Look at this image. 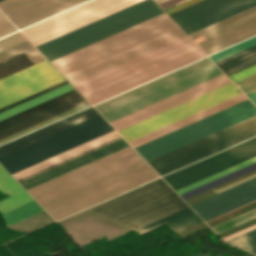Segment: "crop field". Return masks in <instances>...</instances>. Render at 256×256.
Here are the masks:
<instances>
[{"label":"crop field","mask_w":256,"mask_h":256,"mask_svg":"<svg viewBox=\"0 0 256 256\" xmlns=\"http://www.w3.org/2000/svg\"><path fill=\"white\" fill-rule=\"evenodd\" d=\"M157 177L129 146L28 192L59 220Z\"/></svg>","instance_id":"crop-field-1"},{"label":"crop field","mask_w":256,"mask_h":256,"mask_svg":"<svg viewBox=\"0 0 256 256\" xmlns=\"http://www.w3.org/2000/svg\"><path fill=\"white\" fill-rule=\"evenodd\" d=\"M139 1L141 0H91L22 32L37 46ZM161 13L163 11L154 1L144 0L37 48L52 61Z\"/></svg>","instance_id":"crop-field-2"},{"label":"crop field","mask_w":256,"mask_h":256,"mask_svg":"<svg viewBox=\"0 0 256 256\" xmlns=\"http://www.w3.org/2000/svg\"><path fill=\"white\" fill-rule=\"evenodd\" d=\"M185 36L176 30L123 54L67 77L76 83L129 59ZM205 55L187 37H183L130 61L74 84L82 95L95 104L190 62Z\"/></svg>","instance_id":"crop-field-3"},{"label":"crop field","mask_w":256,"mask_h":256,"mask_svg":"<svg viewBox=\"0 0 256 256\" xmlns=\"http://www.w3.org/2000/svg\"><path fill=\"white\" fill-rule=\"evenodd\" d=\"M256 115L248 100L135 148L146 161ZM256 135V116L149 161L164 175L184 165Z\"/></svg>","instance_id":"crop-field-4"},{"label":"crop field","mask_w":256,"mask_h":256,"mask_svg":"<svg viewBox=\"0 0 256 256\" xmlns=\"http://www.w3.org/2000/svg\"><path fill=\"white\" fill-rule=\"evenodd\" d=\"M212 66H214V64L211 62V60L208 57H206V58L199 60L193 64H190L186 67H183L179 70L169 73L163 77H160L156 80H153L149 83L139 86L133 90H130V91L123 93L119 96H116L112 99H109L103 103H100L94 107L101 114H103L107 111H110L114 108H117L121 105H124L128 102H131L135 99H138L142 96H145L149 93H152L158 89H161L165 86H168L172 83H175L179 80H182L186 77H189L193 74H196V73L203 71L207 68H210ZM220 74H222V72L216 66H214L210 69H207L203 72H200L196 75H193L189 78H186V79L179 81L175 84H172L168 87H165L159 91H156L152 94H149L145 97H142L138 100H135V101L128 103L124 106H121L117 109H114L110 112H107V113L103 114V116L109 122H111L115 119H118L122 116H125L129 113H132L136 110H139L143 107H146L150 104H153L157 101H160L166 97H169L173 94H176L180 91H183L187 88H190L194 85H197L201 82H204V81L211 79L215 76H218ZM228 83H230V81L227 79V77L224 74H222L218 77H215L211 80H208L204 83H201L197 86H194V87L187 89L183 92H180L176 95H173L167 99H164L160 102H157L153 105H150L146 108H143V109L136 111L132 114H129L125 117H122L118 120H115V121L111 122V124L114 126V128L117 131H119L123 128H126L130 125H133L137 122H140L144 119H147L151 116H154L158 113H161L165 110H168L174 106H177L181 103H184L188 100H191L195 97H198L202 94H205L209 91H212V90L219 88L223 85H226Z\"/></svg>","instance_id":"crop-field-5"},{"label":"crop field","mask_w":256,"mask_h":256,"mask_svg":"<svg viewBox=\"0 0 256 256\" xmlns=\"http://www.w3.org/2000/svg\"><path fill=\"white\" fill-rule=\"evenodd\" d=\"M185 207L175 192L158 179L90 209L137 229Z\"/></svg>","instance_id":"crop-field-6"},{"label":"crop field","mask_w":256,"mask_h":256,"mask_svg":"<svg viewBox=\"0 0 256 256\" xmlns=\"http://www.w3.org/2000/svg\"><path fill=\"white\" fill-rule=\"evenodd\" d=\"M176 29L178 27L163 13L56 59L52 63L67 77Z\"/></svg>","instance_id":"crop-field-7"},{"label":"crop field","mask_w":256,"mask_h":256,"mask_svg":"<svg viewBox=\"0 0 256 256\" xmlns=\"http://www.w3.org/2000/svg\"><path fill=\"white\" fill-rule=\"evenodd\" d=\"M111 130L113 128L98 115L1 156L0 163L13 174Z\"/></svg>","instance_id":"crop-field-8"},{"label":"crop field","mask_w":256,"mask_h":256,"mask_svg":"<svg viewBox=\"0 0 256 256\" xmlns=\"http://www.w3.org/2000/svg\"><path fill=\"white\" fill-rule=\"evenodd\" d=\"M67 83L63 81L0 109V112ZM75 89L0 120V141L86 104ZM89 104V103H88ZM87 105V104H86ZM90 105V104H89ZM85 106V105H84ZM88 106V105H87ZM83 107V106H82ZM86 107V106H85ZM80 108V107H79ZM84 108V107H83ZM78 109V108H77ZM81 109V108H80ZM76 110V109H75ZM79 110V109H78ZM73 111V110H72ZM77 111V110H76ZM71 112V111H70ZM74 112V111H73ZM69 113V112H68ZM72 113V112H71ZM66 114V113H65ZM70 114V113H69ZM64 115V114H63ZM67 115V114H66ZM62 116V115H61ZM65 116V115H64ZM60 117V116H59ZM63 117V116H62ZM57 118V117H56ZM61 118V117H60ZM55 119V118H54ZM58 119V118H57ZM53 120V119H52ZM56 120V119H55ZM50 121V120H49ZM54 121V120H53ZM48 122V121H47ZM51 122V121H50ZM46 123V122H45ZM49 123V122H48ZM43 124V123H42ZM47 124V123H46ZM41 125V124H40ZM44 125V124H43ZM39 126V125H38ZM42 126V125H41ZM36 127V126H35ZM40 127V126H39ZM34 128V127H33ZM37 128V127H36ZM32 129V128H31ZM35 129V128H34ZM29 130V129H28ZM33 130V129H32ZM27 131V130H26ZM30 131V130H29ZM25 132V131H24ZM28 132V131H27ZM22 133V132H21ZM26 133V132H25ZM20 134V133H19ZM23 134V133H22ZM18 135V134H17ZM21 135V134H20ZM15 136V135H14ZM19 136V135H18ZM13 137V136H12ZM16 137V136H15ZM11 138V137H10ZM14 138V137H13ZM9 139V138H8ZM12 139V138H11ZM6 140V139H5ZM10 140V139H9ZM4 141V140H3ZM7 141V140H6ZM2 142V141H1ZM5 142V141H4ZM3 143V142H2Z\"/></svg>","instance_id":"crop-field-9"},{"label":"crop field","mask_w":256,"mask_h":256,"mask_svg":"<svg viewBox=\"0 0 256 256\" xmlns=\"http://www.w3.org/2000/svg\"><path fill=\"white\" fill-rule=\"evenodd\" d=\"M239 94H241V92L232 83H230L175 108L123 129L119 131V133L128 142H130Z\"/></svg>","instance_id":"crop-field-10"},{"label":"crop field","mask_w":256,"mask_h":256,"mask_svg":"<svg viewBox=\"0 0 256 256\" xmlns=\"http://www.w3.org/2000/svg\"><path fill=\"white\" fill-rule=\"evenodd\" d=\"M256 156V137L163 177L175 190Z\"/></svg>","instance_id":"crop-field-11"},{"label":"crop field","mask_w":256,"mask_h":256,"mask_svg":"<svg viewBox=\"0 0 256 256\" xmlns=\"http://www.w3.org/2000/svg\"><path fill=\"white\" fill-rule=\"evenodd\" d=\"M256 5V0H202L170 14L189 35Z\"/></svg>","instance_id":"crop-field-12"},{"label":"crop field","mask_w":256,"mask_h":256,"mask_svg":"<svg viewBox=\"0 0 256 256\" xmlns=\"http://www.w3.org/2000/svg\"><path fill=\"white\" fill-rule=\"evenodd\" d=\"M63 80L47 60L0 79V108Z\"/></svg>","instance_id":"crop-field-13"},{"label":"crop field","mask_w":256,"mask_h":256,"mask_svg":"<svg viewBox=\"0 0 256 256\" xmlns=\"http://www.w3.org/2000/svg\"><path fill=\"white\" fill-rule=\"evenodd\" d=\"M255 34L256 6L193 33L189 37L194 40L202 36L205 40L199 43L194 41L206 54H210Z\"/></svg>","instance_id":"crop-field-14"},{"label":"crop field","mask_w":256,"mask_h":256,"mask_svg":"<svg viewBox=\"0 0 256 256\" xmlns=\"http://www.w3.org/2000/svg\"><path fill=\"white\" fill-rule=\"evenodd\" d=\"M85 0H3L1 11L22 28Z\"/></svg>","instance_id":"crop-field-15"},{"label":"crop field","mask_w":256,"mask_h":256,"mask_svg":"<svg viewBox=\"0 0 256 256\" xmlns=\"http://www.w3.org/2000/svg\"><path fill=\"white\" fill-rule=\"evenodd\" d=\"M256 200V177L191 205L205 220Z\"/></svg>","instance_id":"crop-field-16"},{"label":"crop field","mask_w":256,"mask_h":256,"mask_svg":"<svg viewBox=\"0 0 256 256\" xmlns=\"http://www.w3.org/2000/svg\"><path fill=\"white\" fill-rule=\"evenodd\" d=\"M23 39H25V37L19 32L10 35L0 40V49ZM43 60H45V58L27 39H25L0 50V78Z\"/></svg>","instance_id":"crop-field-17"},{"label":"crop field","mask_w":256,"mask_h":256,"mask_svg":"<svg viewBox=\"0 0 256 256\" xmlns=\"http://www.w3.org/2000/svg\"><path fill=\"white\" fill-rule=\"evenodd\" d=\"M126 146H128V144L126 143V141L123 138H121V139H119L117 141H114V142H112L110 144H107V145H105V146H103L101 148H98V149H96L94 151H91V152H89L87 154H84V155H82L80 157H77V158H75V159H73L71 161H68V162H66L64 164H61V165H59L57 167H54V168H52L50 170H47V171H45L43 173H40V174H38V175H36L34 177H31V178H29L27 180H24V181L20 182V184L26 190H28V189H30L32 187H35V186H37V185H39L41 183H44V182H46L48 180H51V179H53V178H55L57 176H60V175H62L64 173H67V172H69V171H71L73 169H76V168H78L80 166H83V165H85V164H87L89 162H92V161H94L96 159H99V158H101V157H103L105 155H108V154H110L112 152H115V151H117V150H119L121 148H124Z\"/></svg>","instance_id":"crop-field-18"},{"label":"crop field","mask_w":256,"mask_h":256,"mask_svg":"<svg viewBox=\"0 0 256 256\" xmlns=\"http://www.w3.org/2000/svg\"><path fill=\"white\" fill-rule=\"evenodd\" d=\"M119 138H121V136L115 130H113L109 133H106V134L100 136V137L90 140L84 144H81L77 147H74V148L68 150V151H65L61 154H58V155L52 157V158L42 161L36 165L26 168L20 172H17L15 174H13V176L15 177V179L18 182H20L24 179L34 176L40 172H43L47 169H50L54 166L64 163L70 159H73L77 156H80L84 153H87L91 150H94L98 147H101V146H103L107 143H110L114 140H117Z\"/></svg>","instance_id":"crop-field-19"},{"label":"crop field","mask_w":256,"mask_h":256,"mask_svg":"<svg viewBox=\"0 0 256 256\" xmlns=\"http://www.w3.org/2000/svg\"><path fill=\"white\" fill-rule=\"evenodd\" d=\"M256 44V36L248 39L244 42H241L237 45H234L230 48H227L225 50H222L218 53H215L210 56V58L216 62L220 59H223L227 56H230L234 53H237L243 49H246L250 46H253ZM256 64V45L253 47H250L244 51H241L237 54H234L230 57H227L223 60H220L216 62V65L227 75H231L233 73H236L240 70H243L247 67H250L252 65Z\"/></svg>","instance_id":"crop-field-20"},{"label":"crop field","mask_w":256,"mask_h":256,"mask_svg":"<svg viewBox=\"0 0 256 256\" xmlns=\"http://www.w3.org/2000/svg\"><path fill=\"white\" fill-rule=\"evenodd\" d=\"M96 115H98V113L93 108H89V109H87L85 111H82V112H80L78 114H75V115H73L71 117H68L66 119H63V120H61L59 122H56V123H54L52 125H49V126H47L45 128H42V129H40L38 131H35V132L31 133V134H28V135H26L24 137H21V138H19L17 140L9 142V143H7L5 145L0 146V156L6 154L8 152H11L13 150H16V149H18L20 147H23V146H25L27 144H30V143H32L34 141L42 139V138H44L46 136H49V135H51L53 133H56V132H58L60 130L68 128V127H70L72 125H75V124H77L79 122H82V121H84L86 119L94 117Z\"/></svg>","instance_id":"crop-field-21"},{"label":"crop field","mask_w":256,"mask_h":256,"mask_svg":"<svg viewBox=\"0 0 256 256\" xmlns=\"http://www.w3.org/2000/svg\"><path fill=\"white\" fill-rule=\"evenodd\" d=\"M244 100H246V98H245V96L243 94H241V95H239L237 97H234V98H232L230 100H227V101H225L223 103H220V104H218L216 106H213V107H211L209 109H206V110H204L202 112H199V113H197L195 115H192V116H190V117H188L186 119H183V120H181L179 122H176V123H174L172 125H169V126H167L165 128H162V129H160L158 131H155V132H153L151 134H148V135H146L144 137H141V138H139L137 140H134V141L130 142V144H131V146L133 148H135V147H137L139 145H142V144H144L146 142H149V141H151L153 139H156V138H158L160 136H163V135H165L167 133H170V132H172L174 130H177V129L181 128V127H184V126H186V125H188L190 123H193V122H195L197 120H200V119H202L204 117H207V116H209L211 114H214V113H216L218 111H221V110H223L225 108H228V107H230L232 105H235V104H237L239 102H242Z\"/></svg>","instance_id":"crop-field-22"},{"label":"crop field","mask_w":256,"mask_h":256,"mask_svg":"<svg viewBox=\"0 0 256 256\" xmlns=\"http://www.w3.org/2000/svg\"><path fill=\"white\" fill-rule=\"evenodd\" d=\"M201 222L195 213L188 207L158 221L135 230L140 236L166 224L175 233Z\"/></svg>","instance_id":"crop-field-23"},{"label":"crop field","mask_w":256,"mask_h":256,"mask_svg":"<svg viewBox=\"0 0 256 256\" xmlns=\"http://www.w3.org/2000/svg\"><path fill=\"white\" fill-rule=\"evenodd\" d=\"M0 192L11 196L0 200V212L19 206L32 198L21 188V186L9 176L0 166Z\"/></svg>","instance_id":"crop-field-24"},{"label":"crop field","mask_w":256,"mask_h":256,"mask_svg":"<svg viewBox=\"0 0 256 256\" xmlns=\"http://www.w3.org/2000/svg\"><path fill=\"white\" fill-rule=\"evenodd\" d=\"M54 222L44 211L7 226L10 229L30 232L39 227Z\"/></svg>","instance_id":"crop-field-25"},{"label":"crop field","mask_w":256,"mask_h":256,"mask_svg":"<svg viewBox=\"0 0 256 256\" xmlns=\"http://www.w3.org/2000/svg\"><path fill=\"white\" fill-rule=\"evenodd\" d=\"M40 211H42V209L38 206V204L34 200H32L26 204H23L19 207H16L10 211L3 213L2 216L7 226L11 223L19 221L23 218H26Z\"/></svg>","instance_id":"crop-field-26"},{"label":"crop field","mask_w":256,"mask_h":256,"mask_svg":"<svg viewBox=\"0 0 256 256\" xmlns=\"http://www.w3.org/2000/svg\"><path fill=\"white\" fill-rule=\"evenodd\" d=\"M255 169H256V163L252 164V165H250L248 167H245V168H243L241 170H238V171H236V172H234L232 174H229V175H227L225 177H222V178H220L218 180H215V181H213L211 183H208V184H206L204 186H201V187H199V188H197L195 190H192V191H190L188 193H185V194L181 195V197L184 200H186V199H188L190 197H193V196H195L197 194H200V193H202V192H204L206 190H209V189H211L213 187H216V186H218L220 184H223V183H225L227 181H230V180H232L234 178H237V177H239V176H241L243 174H246V173H248L250 171H253Z\"/></svg>","instance_id":"crop-field-27"},{"label":"crop field","mask_w":256,"mask_h":256,"mask_svg":"<svg viewBox=\"0 0 256 256\" xmlns=\"http://www.w3.org/2000/svg\"><path fill=\"white\" fill-rule=\"evenodd\" d=\"M256 73V65L250 67V68H247L243 71H240L236 74H233L231 76H229V78L236 82L240 79H243L247 76H250L252 74H255ZM236 84L240 87V89L245 93H249L251 91H254L256 90V74L255 75H252L250 77H247L243 80H240L238 82H236Z\"/></svg>","instance_id":"crop-field-28"},{"label":"crop field","mask_w":256,"mask_h":256,"mask_svg":"<svg viewBox=\"0 0 256 256\" xmlns=\"http://www.w3.org/2000/svg\"><path fill=\"white\" fill-rule=\"evenodd\" d=\"M255 162H256V157H255V158H252V159H250V160H248V161H245V162H243V163H240V164H238V165H236V166H233V167H231V168H229V169H226V170H224V171H222V172H219V173H217V174H214V175H212V176H210V177H207V178H205V179H203V180H200V181H198V182H196V183H193V184H191V185H188V186H186V187H184V188H181V189L177 190V192H178L179 195H181V194H183V193H185V192H188V191H190V190H192V189H195V188H197V187H199V186H201V185H204V184H206V183H208V182H211V181H213V180H215V179H218V178H220V177H222V176H225V175H227V174H229V173H232V172H234V171H236V170H238V169H241V168H243V167H245V166H248V165H250V164H252V163H255Z\"/></svg>","instance_id":"crop-field-29"},{"label":"crop field","mask_w":256,"mask_h":256,"mask_svg":"<svg viewBox=\"0 0 256 256\" xmlns=\"http://www.w3.org/2000/svg\"><path fill=\"white\" fill-rule=\"evenodd\" d=\"M226 242L256 253V229L230 239Z\"/></svg>","instance_id":"crop-field-30"},{"label":"crop field","mask_w":256,"mask_h":256,"mask_svg":"<svg viewBox=\"0 0 256 256\" xmlns=\"http://www.w3.org/2000/svg\"><path fill=\"white\" fill-rule=\"evenodd\" d=\"M254 217H256V210H254V211H251V212H249V213H246V214H244V215H242V216H239V217H237V218H234V219H232V220H230V221H227V222H225V223H222V224H220V225H218V226H215V227H213V229L217 232V233H219V232H221V231H223V230H226V229H228V228H230V227H233V226H235V225H237V224H240V223H242V222H244V221H247V220H249V219H251V218H254ZM252 220V219H251ZM245 223V222H244ZM238 226V225H237ZM231 229V228H230ZM224 232V231H223Z\"/></svg>","instance_id":"crop-field-31"},{"label":"crop field","mask_w":256,"mask_h":256,"mask_svg":"<svg viewBox=\"0 0 256 256\" xmlns=\"http://www.w3.org/2000/svg\"><path fill=\"white\" fill-rule=\"evenodd\" d=\"M17 30L0 12V37Z\"/></svg>","instance_id":"crop-field-32"},{"label":"crop field","mask_w":256,"mask_h":256,"mask_svg":"<svg viewBox=\"0 0 256 256\" xmlns=\"http://www.w3.org/2000/svg\"><path fill=\"white\" fill-rule=\"evenodd\" d=\"M161 1H163V0H159V1H157V3L161 2ZM184 1H187V0H166V1H163V2L159 3V5L164 10H166V9H168L170 7H173V6L177 5V4H180V3L184 2Z\"/></svg>","instance_id":"crop-field-33"},{"label":"crop field","mask_w":256,"mask_h":256,"mask_svg":"<svg viewBox=\"0 0 256 256\" xmlns=\"http://www.w3.org/2000/svg\"><path fill=\"white\" fill-rule=\"evenodd\" d=\"M254 228H256V224L253 225V226H251V227H248V228H246V229H244V230H241V231H239V232H237V233H234V234H232V235H230V236H227V237L223 238V240L226 241V240H228V239H230V238H233V237H235V236H237V235H240V234H242V233H245V232H247V231H249V230H252V229H254Z\"/></svg>","instance_id":"crop-field-34"},{"label":"crop field","mask_w":256,"mask_h":256,"mask_svg":"<svg viewBox=\"0 0 256 256\" xmlns=\"http://www.w3.org/2000/svg\"><path fill=\"white\" fill-rule=\"evenodd\" d=\"M247 96L256 104V91L247 94Z\"/></svg>","instance_id":"crop-field-35"},{"label":"crop field","mask_w":256,"mask_h":256,"mask_svg":"<svg viewBox=\"0 0 256 256\" xmlns=\"http://www.w3.org/2000/svg\"><path fill=\"white\" fill-rule=\"evenodd\" d=\"M155 1H157V0H155Z\"/></svg>","instance_id":"crop-field-36"}]
</instances>
